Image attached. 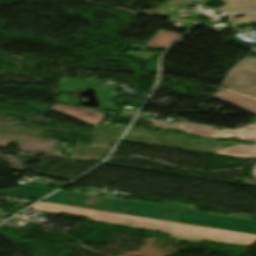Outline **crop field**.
I'll list each match as a JSON object with an SVG mask.
<instances>
[{
	"label": "crop field",
	"mask_w": 256,
	"mask_h": 256,
	"mask_svg": "<svg viewBox=\"0 0 256 256\" xmlns=\"http://www.w3.org/2000/svg\"><path fill=\"white\" fill-rule=\"evenodd\" d=\"M123 55L127 56V57H131V58L137 59V60H141V61H144V62H146L150 58L156 56V55L147 54V53H141V52H136V53H129V52H127V53H125Z\"/></svg>",
	"instance_id": "obj_12"
},
{
	"label": "crop field",
	"mask_w": 256,
	"mask_h": 256,
	"mask_svg": "<svg viewBox=\"0 0 256 256\" xmlns=\"http://www.w3.org/2000/svg\"><path fill=\"white\" fill-rule=\"evenodd\" d=\"M256 115V98L221 87L213 96Z\"/></svg>",
	"instance_id": "obj_7"
},
{
	"label": "crop field",
	"mask_w": 256,
	"mask_h": 256,
	"mask_svg": "<svg viewBox=\"0 0 256 256\" xmlns=\"http://www.w3.org/2000/svg\"><path fill=\"white\" fill-rule=\"evenodd\" d=\"M86 87H95L94 89L96 90V97L99 100V105L102 108L101 110L118 112L115 110L110 101L111 91L115 87V85H106L100 83L97 77L83 80L63 78L61 82L60 92L63 93L76 90H85Z\"/></svg>",
	"instance_id": "obj_5"
},
{
	"label": "crop field",
	"mask_w": 256,
	"mask_h": 256,
	"mask_svg": "<svg viewBox=\"0 0 256 256\" xmlns=\"http://www.w3.org/2000/svg\"><path fill=\"white\" fill-rule=\"evenodd\" d=\"M147 120L154 123L156 127H161L166 129L178 128V129H182L185 133L190 135L209 137V138L231 137V138L245 139V140L256 142V129L254 131L244 130L240 128H237L235 130H229V129L216 130L211 127H205V126H199V125H193V124H185V123L170 124L168 122H163V121L153 120L148 118Z\"/></svg>",
	"instance_id": "obj_4"
},
{
	"label": "crop field",
	"mask_w": 256,
	"mask_h": 256,
	"mask_svg": "<svg viewBox=\"0 0 256 256\" xmlns=\"http://www.w3.org/2000/svg\"><path fill=\"white\" fill-rule=\"evenodd\" d=\"M55 103L78 106V98L77 96L62 94L61 96H57Z\"/></svg>",
	"instance_id": "obj_11"
},
{
	"label": "crop field",
	"mask_w": 256,
	"mask_h": 256,
	"mask_svg": "<svg viewBox=\"0 0 256 256\" xmlns=\"http://www.w3.org/2000/svg\"><path fill=\"white\" fill-rule=\"evenodd\" d=\"M225 6L219 7L225 10L230 16L256 11V0H220Z\"/></svg>",
	"instance_id": "obj_8"
},
{
	"label": "crop field",
	"mask_w": 256,
	"mask_h": 256,
	"mask_svg": "<svg viewBox=\"0 0 256 256\" xmlns=\"http://www.w3.org/2000/svg\"><path fill=\"white\" fill-rule=\"evenodd\" d=\"M50 111L66 114L87 125L96 126L104 120V114L94 110L53 104Z\"/></svg>",
	"instance_id": "obj_6"
},
{
	"label": "crop field",
	"mask_w": 256,
	"mask_h": 256,
	"mask_svg": "<svg viewBox=\"0 0 256 256\" xmlns=\"http://www.w3.org/2000/svg\"><path fill=\"white\" fill-rule=\"evenodd\" d=\"M235 21H236V24H238V23H240V24L256 23V14H253L252 16L237 18V19H235Z\"/></svg>",
	"instance_id": "obj_13"
},
{
	"label": "crop field",
	"mask_w": 256,
	"mask_h": 256,
	"mask_svg": "<svg viewBox=\"0 0 256 256\" xmlns=\"http://www.w3.org/2000/svg\"><path fill=\"white\" fill-rule=\"evenodd\" d=\"M244 129H250V130H253L254 128H256V122L255 123H252V124H249L245 127H243Z\"/></svg>",
	"instance_id": "obj_14"
},
{
	"label": "crop field",
	"mask_w": 256,
	"mask_h": 256,
	"mask_svg": "<svg viewBox=\"0 0 256 256\" xmlns=\"http://www.w3.org/2000/svg\"><path fill=\"white\" fill-rule=\"evenodd\" d=\"M216 154L231 155L242 158L256 159V144L253 146L237 144L230 148L215 152Z\"/></svg>",
	"instance_id": "obj_10"
},
{
	"label": "crop field",
	"mask_w": 256,
	"mask_h": 256,
	"mask_svg": "<svg viewBox=\"0 0 256 256\" xmlns=\"http://www.w3.org/2000/svg\"><path fill=\"white\" fill-rule=\"evenodd\" d=\"M253 174H254V176H255V178H256V167H255L254 170H253Z\"/></svg>",
	"instance_id": "obj_15"
},
{
	"label": "crop field",
	"mask_w": 256,
	"mask_h": 256,
	"mask_svg": "<svg viewBox=\"0 0 256 256\" xmlns=\"http://www.w3.org/2000/svg\"><path fill=\"white\" fill-rule=\"evenodd\" d=\"M43 201L179 222L187 210L132 200L59 191Z\"/></svg>",
	"instance_id": "obj_2"
},
{
	"label": "crop field",
	"mask_w": 256,
	"mask_h": 256,
	"mask_svg": "<svg viewBox=\"0 0 256 256\" xmlns=\"http://www.w3.org/2000/svg\"><path fill=\"white\" fill-rule=\"evenodd\" d=\"M29 209L89 218V220L92 221L162 232L166 234H171L170 237H176L181 241H187L196 244L202 241L244 247H252L254 244H256V235L253 234L205 228L163 220L103 212L47 202H41Z\"/></svg>",
	"instance_id": "obj_1"
},
{
	"label": "crop field",
	"mask_w": 256,
	"mask_h": 256,
	"mask_svg": "<svg viewBox=\"0 0 256 256\" xmlns=\"http://www.w3.org/2000/svg\"><path fill=\"white\" fill-rule=\"evenodd\" d=\"M221 86L256 97V58L247 57L234 65Z\"/></svg>",
	"instance_id": "obj_3"
},
{
	"label": "crop field",
	"mask_w": 256,
	"mask_h": 256,
	"mask_svg": "<svg viewBox=\"0 0 256 256\" xmlns=\"http://www.w3.org/2000/svg\"><path fill=\"white\" fill-rule=\"evenodd\" d=\"M178 37L179 35L159 30L155 36L145 44V47L151 49H166Z\"/></svg>",
	"instance_id": "obj_9"
}]
</instances>
